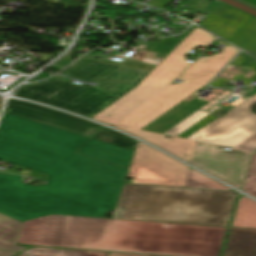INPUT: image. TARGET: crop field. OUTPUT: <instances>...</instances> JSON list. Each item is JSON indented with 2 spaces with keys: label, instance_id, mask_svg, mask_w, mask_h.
Here are the masks:
<instances>
[{
  "label": "crop field",
  "instance_id": "1",
  "mask_svg": "<svg viewBox=\"0 0 256 256\" xmlns=\"http://www.w3.org/2000/svg\"><path fill=\"white\" fill-rule=\"evenodd\" d=\"M12 176H15L12 178ZM0 173V212L23 221L21 244L104 250L118 196L50 175L41 187Z\"/></svg>",
  "mask_w": 256,
  "mask_h": 256
},
{
  "label": "crop field",
  "instance_id": "2",
  "mask_svg": "<svg viewBox=\"0 0 256 256\" xmlns=\"http://www.w3.org/2000/svg\"><path fill=\"white\" fill-rule=\"evenodd\" d=\"M89 140L5 113L0 159L119 196L129 169L76 153Z\"/></svg>",
  "mask_w": 256,
  "mask_h": 256
},
{
  "label": "crop field",
  "instance_id": "3",
  "mask_svg": "<svg viewBox=\"0 0 256 256\" xmlns=\"http://www.w3.org/2000/svg\"><path fill=\"white\" fill-rule=\"evenodd\" d=\"M237 194L125 184L113 218L228 226Z\"/></svg>",
  "mask_w": 256,
  "mask_h": 256
},
{
  "label": "crop field",
  "instance_id": "4",
  "mask_svg": "<svg viewBox=\"0 0 256 256\" xmlns=\"http://www.w3.org/2000/svg\"><path fill=\"white\" fill-rule=\"evenodd\" d=\"M154 67L129 59L118 63L84 58L62 74L75 78L89 69L107 75L97 86L70 83L71 79L56 75L47 82L23 86L17 95L91 118L135 88Z\"/></svg>",
  "mask_w": 256,
  "mask_h": 256
},
{
  "label": "crop field",
  "instance_id": "5",
  "mask_svg": "<svg viewBox=\"0 0 256 256\" xmlns=\"http://www.w3.org/2000/svg\"><path fill=\"white\" fill-rule=\"evenodd\" d=\"M227 228L113 219L105 250L219 256Z\"/></svg>",
  "mask_w": 256,
  "mask_h": 256
},
{
  "label": "crop field",
  "instance_id": "6",
  "mask_svg": "<svg viewBox=\"0 0 256 256\" xmlns=\"http://www.w3.org/2000/svg\"><path fill=\"white\" fill-rule=\"evenodd\" d=\"M238 51L228 45L206 64L195 62L179 78L184 81L183 83L170 85L113 126L132 133L190 163L197 141L175 136L172 139H164L165 135L144 131L141 128L206 85Z\"/></svg>",
  "mask_w": 256,
  "mask_h": 256
},
{
  "label": "crop field",
  "instance_id": "7",
  "mask_svg": "<svg viewBox=\"0 0 256 256\" xmlns=\"http://www.w3.org/2000/svg\"><path fill=\"white\" fill-rule=\"evenodd\" d=\"M216 36L196 28L168 56H166L139 84L92 119L114 124L166 88L191 62L183 57L198 45L207 47ZM169 87V86H168ZM162 92V91H161ZM159 94V93H158Z\"/></svg>",
  "mask_w": 256,
  "mask_h": 256
},
{
  "label": "crop field",
  "instance_id": "8",
  "mask_svg": "<svg viewBox=\"0 0 256 256\" xmlns=\"http://www.w3.org/2000/svg\"><path fill=\"white\" fill-rule=\"evenodd\" d=\"M254 103H256V95L188 138L255 151L256 115L250 111V106Z\"/></svg>",
  "mask_w": 256,
  "mask_h": 256
},
{
  "label": "crop field",
  "instance_id": "9",
  "mask_svg": "<svg viewBox=\"0 0 256 256\" xmlns=\"http://www.w3.org/2000/svg\"><path fill=\"white\" fill-rule=\"evenodd\" d=\"M189 166L142 143L132 161L128 177L133 184L183 187Z\"/></svg>",
  "mask_w": 256,
  "mask_h": 256
},
{
  "label": "crop field",
  "instance_id": "10",
  "mask_svg": "<svg viewBox=\"0 0 256 256\" xmlns=\"http://www.w3.org/2000/svg\"><path fill=\"white\" fill-rule=\"evenodd\" d=\"M198 141L191 164L241 188L250 153Z\"/></svg>",
  "mask_w": 256,
  "mask_h": 256
},
{
  "label": "crop field",
  "instance_id": "11",
  "mask_svg": "<svg viewBox=\"0 0 256 256\" xmlns=\"http://www.w3.org/2000/svg\"><path fill=\"white\" fill-rule=\"evenodd\" d=\"M6 113L92 138L102 126L41 106L9 100Z\"/></svg>",
  "mask_w": 256,
  "mask_h": 256
},
{
  "label": "crop field",
  "instance_id": "12",
  "mask_svg": "<svg viewBox=\"0 0 256 256\" xmlns=\"http://www.w3.org/2000/svg\"><path fill=\"white\" fill-rule=\"evenodd\" d=\"M247 16L248 14L222 3L200 25L226 39Z\"/></svg>",
  "mask_w": 256,
  "mask_h": 256
},
{
  "label": "crop field",
  "instance_id": "13",
  "mask_svg": "<svg viewBox=\"0 0 256 256\" xmlns=\"http://www.w3.org/2000/svg\"><path fill=\"white\" fill-rule=\"evenodd\" d=\"M78 153L129 168L135 152L91 139Z\"/></svg>",
  "mask_w": 256,
  "mask_h": 256
},
{
  "label": "crop field",
  "instance_id": "14",
  "mask_svg": "<svg viewBox=\"0 0 256 256\" xmlns=\"http://www.w3.org/2000/svg\"><path fill=\"white\" fill-rule=\"evenodd\" d=\"M224 256H256V230L233 227Z\"/></svg>",
  "mask_w": 256,
  "mask_h": 256
},
{
  "label": "crop field",
  "instance_id": "15",
  "mask_svg": "<svg viewBox=\"0 0 256 256\" xmlns=\"http://www.w3.org/2000/svg\"><path fill=\"white\" fill-rule=\"evenodd\" d=\"M21 221L0 213V249L20 252L26 247L15 245Z\"/></svg>",
  "mask_w": 256,
  "mask_h": 256
},
{
  "label": "crop field",
  "instance_id": "16",
  "mask_svg": "<svg viewBox=\"0 0 256 256\" xmlns=\"http://www.w3.org/2000/svg\"><path fill=\"white\" fill-rule=\"evenodd\" d=\"M235 227L256 229V202L242 197L233 225Z\"/></svg>",
  "mask_w": 256,
  "mask_h": 256
},
{
  "label": "crop field",
  "instance_id": "17",
  "mask_svg": "<svg viewBox=\"0 0 256 256\" xmlns=\"http://www.w3.org/2000/svg\"><path fill=\"white\" fill-rule=\"evenodd\" d=\"M230 42L245 50L256 52V18L253 17Z\"/></svg>",
  "mask_w": 256,
  "mask_h": 256
},
{
  "label": "crop field",
  "instance_id": "18",
  "mask_svg": "<svg viewBox=\"0 0 256 256\" xmlns=\"http://www.w3.org/2000/svg\"><path fill=\"white\" fill-rule=\"evenodd\" d=\"M184 187L234 191L191 168H189Z\"/></svg>",
  "mask_w": 256,
  "mask_h": 256
},
{
  "label": "crop field",
  "instance_id": "19",
  "mask_svg": "<svg viewBox=\"0 0 256 256\" xmlns=\"http://www.w3.org/2000/svg\"><path fill=\"white\" fill-rule=\"evenodd\" d=\"M24 253L27 256H107L108 255V253H104V252L56 250V249H50V248H33Z\"/></svg>",
  "mask_w": 256,
  "mask_h": 256
},
{
  "label": "crop field",
  "instance_id": "20",
  "mask_svg": "<svg viewBox=\"0 0 256 256\" xmlns=\"http://www.w3.org/2000/svg\"><path fill=\"white\" fill-rule=\"evenodd\" d=\"M93 139H97L100 141H104L107 143H111L114 145H118L121 147H125L128 149L136 150L137 141L132 140L118 132L111 131L105 127H103L94 137Z\"/></svg>",
  "mask_w": 256,
  "mask_h": 256
},
{
  "label": "crop field",
  "instance_id": "21",
  "mask_svg": "<svg viewBox=\"0 0 256 256\" xmlns=\"http://www.w3.org/2000/svg\"><path fill=\"white\" fill-rule=\"evenodd\" d=\"M244 192L256 197V153L252 157Z\"/></svg>",
  "mask_w": 256,
  "mask_h": 256
},
{
  "label": "crop field",
  "instance_id": "22",
  "mask_svg": "<svg viewBox=\"0 0 256 256\" xmlns=\"http://www.w3.org/2000/svg\"><path fill=\"white\" fill-rule=\"evenodd\" d=\"M104 76L105 75L87 70L84 73H82L80 76H78L77 79H81V80H85V81H91V82H97L101 78H103Z\"/></svg>",
  "mask_w": 256,
  "mask_h": 256
},
{
  "label": "crop field",
  "instance_id": "23",
  "mask_svg": "<svg viewBox=\"0 0 256 256\" xmlns=\"http://www.w3.org/2000/svg\"><path fill=\"white\" fill-rule=\"evenodd\" d=\"M172 1L174 0H152L151 2L148 3V5L153 6V7H162L165 8L167 5H169Z\"/></svg>",
  "mask_w": 256,
  "mask_h": 256
},
{
  "label": "crop field",
  "instance_id": "24",
  "mask_svg": "<svg viewBox=\"0 0 256 256\" xmlns=\"http://www.w3.org/2000/svg\"><path fill=\"white\" fill-rule=\"evenodd\" d=\"M253 16L249 15L239 26L238 28L226 39L230 41L245 25L246 23L252 18Z\"/></svg>",
  "mask_w": 256,
  "mask_h": 256
},
{
  "label": "crop field",
  "instance_id": "25",
  "mask_svg": "<svg viewBox=\"0 0 256 256\" xmlns=\"http://www.w3.org/2000/svg\"><path fill=\"white\" fill-rule=\"evenodd\" d=\"M108 256H154V255H135V254H118V253H109Z\"/></svg>",
  "mask_w": 256,
  "mask_h": 256
},
{
  "label": "crop field",
  "instance_id": "26",
  "mask_svg": "<svg viewBox=\"0 0 256 256\" xmlns=\"http://www.w3.org/2000/svg\"><path fill=\"white\" fill-rule=\"evenodd\" d=\"M239 1H242V2H244L246 4H248V5L256 8V0H239Z\"/></svg>",
  "mask_w": 256,
  "mask_h": 256
},
{
  "label": "crop field",
  "instance_id": "27",
  "mask_svg": "<svg viewBox=\"0 0 256 256\" xmlns=\"http://www.w3.org/2000/svg\"><path fill=\"white\" fill-rule=\"evenodd\" d=\"M13 254H15V252H8V251H1L0 250V256H12Z\"/></svg>",
  "mask_w": 256,
  "mask_h": 256
},
{
  "label": "crop field",
  "instance_id": "28",
  "mask_svg": "<svg viewBox=\"0 0 256 256\" xmlns=\"http://www.w3.org/2000/svg\"><path fill=\"white\" fill-rule=\"evenodd\" d=\"M212 56L202 57L199 61L206 63Z\"/></svg>",
  "mask_w": 256,
  "mask_h": 256
},
{
  "label": "crop field",
  "instance_id": "29",
  "mask_svg": "<svg viewBox=\"0 0 256 256\" xmlns=\"http://www.w3.org/2000/svg\"><path fill=\"white\" fill-rule=\"evenodd\" d=\"M0 108H1V105H0Z\"/></svg>",
  "mask_w": 256,
  "mask_h": 256
}]
</instances>
